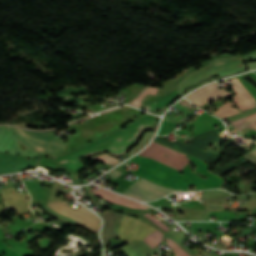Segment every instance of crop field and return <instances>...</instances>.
Listing matches in <instances>:
<instances>
[{"label": "crop field", "mask_w": 256, "mask_h": 256, "mask_svg": "<svg viewBox=\"0 0 256 256\" xmlns=\"http://www.w3.org/2000/svg\"><path fill=\"white\" fill-rule=\"evenodd\" d=\"M47 205L50 206L53 210L76 220L84 226H87L95 233L98 232L100 219L87 208L81 206L75 209L64 202H54Z\"/></svg>", "instance_id": "8a807250"}, {"label": "crop field", "mask_w": 256, "mask_h": 256, "mask_svg": "<svg viewBox=\"0 0 256 256\" xmlns=\"http://www.w3.org/2000/svg\"><path fill=\"white\" fill-rule=\"evenodd\" d=\"M163 154H166L169 157H166ZM139 155L154 158L179 171L187 164L189 160L185 158V155L179 154L155 142H152L151 145L143 150L141 153H139Z\"/></svg>", "instance_id": "ac0d7876"}, {"label": "crop field", "mask_w": 256, "mask_h": 256, "mask_svg": "<svg viewBox=\"0 0 256 256\" xmlns=\"http://www.w3.org/2000/svg\"><path fill=\"white\" fill-rule=\"evenodd\" d=\"M177 190L160 188L159 186L139 178L123 194L138 200H156Z\"/></svg>", "instance_id": "34b2d1b8"}, {"label": "crop field", "mask_w": 256, "mask_h": 256, "mask_svg": "<svg viewBox=\"0 0 256 256\" xmlns=\"http://www.w3.org/2000/svg\"><path fill=\"white\" fill-rule=\"evenodd\" d=\"M217 87L219 86L216 83H214L212 85L206 86L202 89L193 92L186 98L199 107L209 101L231 94L227 93L223 89L219 90Z\"/></svg>", "instance_id": "412701ff"}, {"label": "crop field", "mask_w": 256, "mask_h": 256, "mask_svg": "<svg viewBox=\"0 0 256 256\" xmlns=\"http://www.w3.org/2000/svg\"><path fill=\"white\" fill-rule=\"evenodd\" d=\"M235 85L231 86L235 94L242 101V103L246 106L247 109L256 107V101L253 97L247 92V90L243 87V85L238 81L237 78L232 79ZM233 98V101L238 105L241 110H245V106L241 103V101L237 98V96Z\"/></svg>", "instance_id": "f4fd0767"}, {"label": "crop field", "mask_w": 256, "mask_h": 256, "mask_svg": "<svg viewBox=\"0 0 256 256\" xmlns=\"http://www.w3.org/2000/svg\"><path fill=\"white\" fill-rule=\"evenodd\" d=\"M92 190L94 191L95 195H97L99 197H102V198H105L107 200H110V201H112L116 204H121V205H125V206H128V207H135V208H140V209L150 208L146 205H143V204H140L138 202L132 201L130 199L124 198L122 196H119L117 194H114L112 192L104 190L102 188H100L98 191L94 190V189H92Z\"/></svg>", "instance_id": "dd49c442"}, {"label": "crop field", "mask_w": 256, "mask_h": 256, "mask_svg": "<svg viewBox=\"0 0 256 256\" xmlns=\"http://www.w3.org/2000/svg\"><path fill=\"white\" fill-rule=\"evenodd\" d=\"M256 112V108L252 109V110H249V111H246L244 113H240L238 115H235L231 118H229V121L232 122L234 120H237L239 118H242L244 116H247V115H250L252 113H255ZM256 123V113L255 114H252L250 116H247L245 118H242V119H239L237 121H234L232 122L231 124L233 125V127L235 129H237L238 131L250 126V125H253ZM249 128H252L254 130H256V124L253 125V126H250Z\"/></svg>", "instance_id": "e52e79f7"}, {"label": "crop field", "mask_w": 256, "mask_h": 256, "mask_svg": "<svg viewBox=\"0 0 256 256\" xmlns=\"http://www.w3.org/2000/svg\"><path fill=\"white\" fill-rule=\"evenodd\" d=\"M232 104L231 103H229V102H227V103H225L224 105H222L221 107H219V108H217L219 111H216V112H214L215 114L216 113H218V112H220V111H222V110H224V109H226V108H228V107H230ZM237 113H240V111H238L236 108H229V109H227V110H225V111H223V112H221V113H219V114H217L221 119H223V118H226V117H229V116H232V115H235V114H237Z\"/></svg>", "instance_id": "d8731c3e"}, {"label": "crop field", "mask_w": 256, "mask_h": 256, "mask_svg": "<svg viewBox=\"0 0 256 256\" xmlns=\"http://www.w3.org/2000/svg\"><path fill=\"white\" fill-rule=\"evenodd\" d=\"M162 233L160 231H155L151 233L144 241L152 248L156 247L158 243L162 241Z\"/></svg>", "instance_id": "5a996713"}, {"label": "crop field", "mask_w": 256, "mask_h": 256, "mask_svg": "<svg viewBox=\"0 0 256 256\" xmlns=\"http://www.w3.org/2000/svg\"><path fill=\"white\" fill-rule=\"evenodd\" d=\"M153 135V132H145L139 143L132 148V150L128 153V155H131L135 153L136 151L140 150L142 147H144L151 139Z\"/></svg>", "instance_id": "3316defc"}, {"label": "crop field", "mask_w": 256, "mask_h": 256, "mask_svg": "<svg viewBox=\"0 0 256 256\" xmlns=\"http://www.w3.org/2000/svg\"><path fill=\"white\" fill-rule=\"evenodd\" d=\"M158 88H154V87H149L146 91H144L138 98H136L131 105H134L136 107L139 108V106L141 105V101L144 98L145 95L147 94H155L157 93Z\"/></svg>", "instance_id": "28ad6ade"}, {"label": "crop field", "mask_w": 256, "mask_h": 256, "mask_svg": "<svg viewBox=\"0 0 256 256\" xmlns=\"http://www.w3.org/2000/svg\"><path fill=\"white\" fill-rule=\"evenodd\" d=\"M92 158H94L96 160H99V161H102L104 163H107L109 165H115V164L121 162L118 159L112 158V157H110L106 154H99V155L93 156Z\"/></svg>", "instance_id": "d1516ede"}, {"label": "crop field", "mask_w": 256, "mask_h": 256, "mask_svg": "<svg viewBox=\"0 0 256 256\" xmlns=\"http://www.w3.org/2000/svg\"><path fill=\"white\" fill-rule=\"evenodd\" d=\"M165 241L168 242L166 245H168L174 249L176 256H190L188 253H186L180 246H178L172 240L166 239Z\"/></svg>", "instance_id": "22f410ed"}, {"label": "crop field", "mask_w": 256, "mask_h": 256, "mask_svg": "<svg viewBox=\"0 0 256 256\" xmlns=\"http://www.w3.org/2000/svg\"><path fill=\"white\" fill-rule=\"evenodd\" d=\"M41 208H43L45 211H47L48 213H50V214H52V215H55V216H57V217H59V218H61V219H63V220H65V221H67V222H69V223H71V224H76L77 222L76 221H74V220H72V219H70V218H68V217H65V216H63V215H61V214H59V213H57V212H55V211H53L52 209H50L48 206H46V205H44V206H41ZM77 224H79V223H77ZM80 225V224H79ZM82 226V225H81ZM91 232V231H90ZM97 238H98V236H97ZM99 239V238H98Z\"/></svg>", "instance_id": "cbeb9de0"}, {"label": "crop field", "mask_w": 256, "mask_h": 256, "mask_svg": "<svg viewBox=\"0 0 256 256\" xmlns=\"http://www.w3.org/2000/svg\"><path fill=\"white\" fill-rule=\"evenodd\" d=\"M145 216H147L149 219H151L153 222H155L158 226H160L162 229H164L165 231H167L169 228L166 227L164 224H162L161 222H159L158 220L154 219L152 216H150L148 213L145 214Z\"/></svg>", "instance_id": "5142ce71"}, {"label": "crop field", "mask_w": 256, "mask_h": 256, "mask_svg": "<svg viewBox=\"0 0 256 256\" xmlns=\"http://www.w3.org/2000/svg\"><path fill=\"white\" fill-rule=\"evenodd\" d=\"M221 142H222V141H221ZM219 144H220V142H219V143H217V144H215V148H217V149H218V151H215V150H213V149H211V148H209V147H206L205 149H207V150H208V152H211V153H214V154H216V155L221 156V154H222V152H223V151H221V150H220V148H219Z\"/></svg>", "instance_id": "d9b57169"}, {"label": "crop field", "mask_w": 256, "mask_h": 256, "mask_svg": "<svg viewBox=\"0 0 256 256\" xmlns=\"http://www.w3.org/2000/svg\"><path fill=\"white\" fill-rule=\"evenodd\" d=\"M121 174H122V172H120V171H118L116 169H114L111 172H109V175L112 176L114 179L117 178Z\"/></svg>", "instance_id": "733c2abd"}, {"label": "crop field", "mask_w": 256, "mask_h": 256, "mask_svg": "<svg viewBox=\"0 0 256 256\" xmlns=\"http://www.w3.org/2000/svg\"><path fill=\"white\" fill-rule=\"evenodd\" d=\"M248 67L251 68V69H255L256 68V63L249 64Z\"/></svg>", "instance_id": "4a817a6b"}, {"label": "crop field", "mask_w": 256, "mask_h": 256, "mask_svg": "<svg viewBox=\"0 0 256 256\" xmlns=\"http://www.w3.org/2000/svg\"><path fill=\"white\" fill-rule=\"evenodd\" d=\"M251 153L255 154L256 155V150H253Z\"/></svg>", "instance_id": "bc2a9ffb"}]
</instances>
